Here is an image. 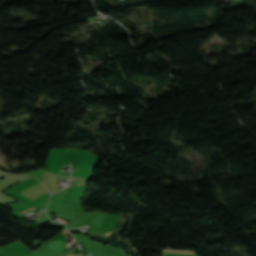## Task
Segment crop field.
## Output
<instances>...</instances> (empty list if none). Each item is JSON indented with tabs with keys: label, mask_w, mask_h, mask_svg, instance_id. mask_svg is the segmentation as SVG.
I'll list each match as a JSON object with an SVG mask.
<instances>
[{
	"label": "crop field",
	"mask_w": 256,
	"mask_h": 256,
	"mask_svg": "<svg viewBox=\"0 0 256 256\" xmlns=\"http://www.w3.org/2000/svg\"><path fill=\"white\" fill-rule=\"evenodd\" d=\"M39 181L31 178L28 180H24L21 181V183H18L14 186H12L9 190L5 191V193H7L10 196L15 197L16 199H18L20 202H27L30 201L28 200L26 197L22 196L21 194H19L18 192L38 183Z\"/></svg>",
	"instance_id": "obj_1"
},
{
	"label": "crop field",
	"mask_w": 256,
	"mask_h": 256,
	"mask_svg": "<svg viewBox=\"0 0 256 256\" xmlns=\"http://www.w3.org/2000/svg\"><path fill=\"white\" fill-rule=\"evenodd\" d=\"M165 252H172V253H187V254H194V252H187V251H171V250H164Z\"/></svg>",
	"instance_id": "obj_3"
},
{
	"label": "crop field",
	"mask_w": 256,
	"mask_h": 256,
	"mask_svg": "<svg viewBox=\"0 0 256 256\" xmlns=\"http://www.w3.org/2000/svg\"><path fill=\"white\" fill-rule=\"evenodd\" d=\"M35 207H33V208H30V209H28V210H31V209H34ZM28 210H25V211H28ZM25 211H22V212H25ZM22 212H20V213H22Z\"/></svg>",
	"instance_id": "obj_4"
},
{
	"label": "crop field",
	"mask_w": 256,
	"mask_h": 256,
	"mask_svg": "<svg viewBox=\"0 0 256 256\" xmlns=\"http://www.w3.org/2000/svg\"><path fill=\"white\" fill-rule=\"evenodd\" d=\"M69 256H77V255H71V254H69Z\"/></svg>",
	"instance_id": "obj_5"
},
{
	"label": "crop field",
	"mask_w": 256,
	"mask_h": 256,
	"mask_svg": "<svg viewBox=\"0 0 256 256\" xmlns=\"http://www.w3.org/2000/svg\"><path fill=\"white\" fill-rule=\"evenodd\" d=\"M83 154H84V151L82 150H74L70 154L69 159L79 162Z\"/></svg>",
	"instance_id": "obj_2"
}]
</instances>
